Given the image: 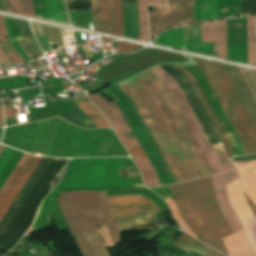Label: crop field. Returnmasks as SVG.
<instances>
[{
    "label": "crop field",
    "mask_w": 256,
    "mask_h": 256,
    "mask_svg": "<svg viewBox=\"0 0 256 256\" xmlns=\"http://www.w3.org/2000/svg\"><path fill=\"white\" fill-rule=\"evenodd\" d=\"M107 89L113 93L119 100L115 101L138 143L146 153L162 185L175 183L170 171L168 170L163 158L161 157L156 145L150 134L146 131L130 99L123 94L117 87L110 84ZM97 105H99L117 135L130 153L135 164L140 169L144 184L148 187L161 185L139 144L134 138L124 118L122 117L115 102L110 103L104 97L97 94L96 96L88 95Z\"/></svg>",
    "instance_id": "8a807250"
},
{
    "label": "crop field",
    "mask_w": 256,
    "mask_h": 256,
    "mask_svg": "<svg viewBox=\"0 0 256 256\" xmlns=\"http://www.w3.org/2000/svg\"><path fill=\"white\" fill-rule=\"evenodd\" d=\"M119 168H126L131 178H119ZM145 188L140 174L129 158L71 159L60 184L45 198L31 233L45 228L56 197L63 191Z\"/></svg>",
    "instance_id": "ac0d7876"
},
{
    "label": "crop field",
    "mask_w": 256,
    "mask_h": 256,
    "mask_svg": "<svg viewBox=\"0 0 256 256\" xmlns=\"http://www.w3.org/2000/svg\"><path fill=\"white\" fill-rule=\"evenodd\" d=\"M187 184L196 215L212 244L215 249L227 254L220 238L232 234V231L225 222L215 201L211 178L189 181ZM187 184L184 182L170 186L174 194L179 197L175 199L177 207L197 238L214 248L195 215Z\"/></svg>",
    "instance_id": "34b2d1b8"
},
{
    "label": "crop field",
    "mask_w": 256,
    "mask_h": 256,
    "mask_svg": "<svg viewBox=\"0 0 256 256\" xmlns=\"http://www.w3.org/2000/svg\"><path fill=\"white\" fill-rule=\"evenodd\" d=\"M191 59L194 60L198 64V65H195V67H197L199 70H201L204 73L207 81L209 82L211 88L213 89V91H214L216 97L218 98L221 106L223 107L226 115L228 116L230 122L232 123L235 131L237 132V134L242 142L244 154L247 155V154L255 153L253 145H252V141H251L252 138L250 139L244 125L242 124L237 112L235 111V109H234L229 97L227 96L222 84L220 83L214 69L212 67H210L203 60L196 59V58H191ZM176 65L179 66L185 73H187L191 77L200 96L202 97L205 105L207 106L210 114L212 115L215 123L217 124L221 134L223 135V137L227 143L230 157L244 155L242 146H241V142H240L236 132L234 131L232 125L230 124L227 116L225 115L222 107L220 106L217 98L215 97L213 91L211 90L208 82L206 81L203 73L201 71H199L197 68H195L194 66H183L186 70H188L194 76L197 84L199 85L203 95L205 96L208 104L210 105L213 113L215 114L218 122L220 123L224 133L226 134V136L231 144L233 156H232L230 144H229L225 134L223 133L219 123L217 122L214 114L212 113L209 105L207 104L204 96L202 95L198 85L196 84L193 76L188 71H186L180 64H176Z\"/></svg>",
    "instance_id": "412701ff"
},
{
    "label": "crop field",
    "mask_w": 256,
    "mask_h": 256,
    "mask_svg": "<svg viewBox=\"0 0 256 256\" xmlns=\"http://www.w3.org/2000/svg\"><path fill=\"white\" fill-rule=\"evenodd\" d=\"M120 88L133 98L177 182L197 179L198 176L194 168L152 91L138 79H135Z\"/></svg>",
    "instance_id": "f4fd0767"
},
{
    "label": "crop field",
    "mask_w": 256,
    "mask_h": 256,
    "mask_svg": "<svg viewBox=\"0 0 256 256\" xmlns=\"http://www.w3.org/2000/svg\"><path fill=\"white\" fill-rule=\"evenodd\" d=\"M150 73L152 72L148 70L137 75V77L140 79ZM140 80L153 91L199 178L207 175H213L214 172L211 166L209 165L167 86L153 73Z\"/></svg>",
    "instance_id": "dd49c442"
},
{
    "label": "crop field",
    "mask_w": 256,
    "mask_h": 256,
    "mask_svg": "<svg viewBox=\"0 0 256 256\" xmlns=\"http://www.w3.org/2000/svg\"><path fill=\"white\" fill-rule=\"evenodd\" d=\"M150 70L153 71L168 86L171 94L173 95L180 110L186 118L193 134H195L196 138L198 139L215 174L222 171L235 169L227 152L223 148V145H212L209 137L207 136L177 81L162 65H158Z\"/></svg>",
    "instance_id": "e52e79f7"
},
{
    "label": "crop field",
    "mask_w": 256,
    "mask_h": 256,
    "mask_svg": "<svg viewBox=\"0 0 256 256\" xmlns=\"http://www.w3.org/2000/svg\"><path fill=\"white\" fill-rule=\"evenodd\" d=\"M77 228L92 256H110L97 225H103L104 218L97 204L94 192L78 191L65 193Z\"/></svg>",
    "instance_id": "d8731c3e"
},
{
    "label": "crop field",
    "mask_w": 256,
    "mask_h": 256,
    "mask_svg": "<svg viewBox=\"0 0 256 256\" xmlns=\"http://www.w3.org/2000/svg\"><path fill=\"white\" fill-rule=\"evenodd\" d=\"M228 59L248 64V17L227 20ZM249 64L256 65V16L249 17Z\"/></svg>",
    "instance_id": "5a996713"
},
{
    "label": "crop field",
    "mask_w": 256,
    "mask_h": 256,
    "mask_svg": "<svg viewBox=\"0 0 256 256\" xmlns=\"http://www.w3.org/2000/svg\"><path fill=\"white\" fill-rule=\"evenodd\" d=\"M151 14L152 38L161 30L193 23L191 0H168V7H155Z\"/></svg>",
    "instance_id": "3316defc"
},
{
    "label": "crop field",
    "mask_w": 256,
    "mask_h": 256,
    "mask_svg": "<svg viewBox=\"0 0 256 256\" xmlns=\"http://www.w3.org/2000/svg\"><path fill=\"white\" fill-rule=\"evenodd\" d=\"M113 217L159 213V208L141 195L107 197Z\"/></svg>",
    "instance_id": "28ad6ade"
},
{
    "label": "crop field",
    "mask_w": 256,
    "mask_h": 256,
    "mask_svg": "<svg viewBox=\"0 0 256 256\" xmlns=\"http://www.w3.org/2000/svg\"><path fill=\"white\" fill-rule=\"evenodd\" d=\"M195 23L241 15L240 0H194Z\"/></svg>",
    "instance_id": "d1516ede"
},
{
    "label": "crop field",
    "mask_w": 256,
    "mask_h": 256,
    "mask_svg": "<svg viewBox=\"0 0 256 256\" xmlns=\"http://www.w3.org/2000/svg\"><path fill=\"white\" fill-rule=\"evenodd\" d=\"M4 20H5L7 37L9 41L12 43V45L14 46V48L17 50L21 58L24 60V62H28L29 59L27 58L25 53L22 51V49L20 48L17 42L26 43L27 48L33 57L42 54L40 48L38 47L33 37L29 23L27 21L6 18V17H4Z\"/></svg>",
    "instance_id": "22f410ed"
},
{
    "label": "crop field",
    "mask_w": 256,
    "mask_h": 256,
    "mask_svg": "<svg viewBox=\"0 0 256 256\" xmlns=\"http://www.w3.org/2000/svg\"><path fill=\"white\" fill-rule=\"evenodd\" d=\"M212 182L215 190V196H216V201L218 203V206L230 226L231 230L233 233L242 230V226L237 219L226 195V189L225 186L229 184L231 181L234 179L239 178L238 171H232L216 176H212Z\"/></svg>",
    "instance_id": "cbeb9de0"
},
{
    "label": "crop field",
    "mask_w": 256,
    "mask_h": 256,
    "mask_svg": "<svg viewBox=\"0 0 256 256\" xmlns=\"http://www.w3.org/2000/svg\"><path fill=\"white\" fill-rule=\"evenodd\" d=\"M41 158L39 157H34L29 155L25 163L23 164L22 168L6 190L5 194L0 200V219L24 185V183L27 181L37 164Z\"/></svg>",
    "instance_id": "5142ce71"
},
{
    "label": "crop field",
    "mask_w": 256,
    "mask_h": 256,
    "mask_svg": "<svg viewBox=\"0 0 256 256\" xmlns=\"http://www.w3.org/2000/svg\"><path fill=\"white\" fill-rule=\"evenodd\" d=\"M22 155H23L22 152L6 147V149L4 150L3 154L0 157V187L5 182L9 174L12 172L14 167L17 166ZM27 157H28V154L24 153L18 166L15 167V169L10 174L6 182L1 187L0 198L4 194L5 190L7 189V187L9 186V184L11 183V181L13 180V178L15 177V175L17 174V172L19 171V169L21 168L22 164L24 163Z\"/></svg>",
    "instance_id": "d9b57169"
},
{
    "label": "crop field",
    "mask_w": 256,
    "mask_h": 256,
    "mask_svg": "<svg viewBox=\"0 0 256 256\" xmlns=\"http://www.w3.org/2000/svg\"><path fill=\"white\" fill-rule=\"evenodd\" d=\"M204 61H206V60H204ZM206 62L215 69V71H216L219 79L221 80L226 92L228 93L232 103L234 104L242 122L244 123L250 137L252 138L253 145H254L255 152H256V129L253 126L249 116L247 115L243 105L241 104V102H240L236 92L234 91L229 79L227 78L223 68L221 67V65H219L216 62H212V61H206Z\"/></svg>",
    "instance_id": "733c2abd"
},
{
    "label": "crop field",
    "mask_w": 256,
    "mask_h": 256,
    "mask_svg": "<svg viewBox=\"0 0 256 256\" xmlns=\"http://www.w3.org/2000/svg\"><path fill=\"white\" fill-rule=\"evenodd\" d=\"M203 42H213L214 56L226 59L225 20L200 24Z\"/></svg>",
    "instance_id": "4a817a6b"
},
{
    "label": "crop field",
    "mask_w": 256,
    "mask_h": 256,
    "mask_svg": "<svg viewBox=\"0 0 256 256\" xmlns=\"http://www.w3.org/2000/svg\"><path fill=\"white\" fill-rule=\"evenodd\" d=\"M227 74V76L229 77L234 89L236 90L240 100L242 101L243 104H246L251 115L253 116L255 122H256V102L254 101L248 87L246 86L242 76L240 75L237 67L234 66H229V65H224L221 64ZM221 66V67H222ZM246 105H244L247 113L249 114L253 124L256 127V124L252 118V116L250 115Z\"/></svg>",
    "instance_id": "bc2a9ffb"
},
{
    "label": "crop field",
    "mask_w": 256,
    "mask_h": 256,
    "mask_svg": "<svg viewBox=\"0 0 256 256\" xmlns=\"http://www.w3.org/2000/svg\"><path fill=\"white\" fill-rule=\"evenodd\" d=\"M94 30L114 35L111 0H91Z\"/></svg>",
    "instance_id": "214f88e0"
},
{
    "label": "crop field",
    "mask_w": 256,
    "mask_h": 256,
    "mask_svg": "<svg viewBox=\"0 0 256 256\" xmlns=\"http://www.w3.org/2000/svg\"><path fill=\"white\" fill-rule=\"evenodd\" d=\"M33 2L37 18L67 24L62 0H33Z\"/></svg>",
    "instance_id": "92a150f3"
},
{
    "label": "crop field",
    "mask_w": 256,
    "mask_h": 256,
    "mask_svg": "<svg viewBox=\"0 0 256 256\" xmlns=\"http://www.w3.org/2000/svg\"><path fill=\"white\" fill-rule=\"evenodd\" d=\"M230 256L256 255L244 230L223 238Z\"/></svg>",
    "instance_id": "dafd665d"
},
{
    "label": "crop field",
    "mask_w": 256,
    "mask_h": 256,
    "mask_svg": "<svg viewBox=\"0 0 256 256\" xmlns=\"http://www.w3.org/2000/svg\"><path fill=\"white\" fill-rule=\"evenodd\" d=\"M159 214L136 216V217H124L115 219L119 228L122 231L126 230H145L158 227L156 225V218Z\"/></svg>",
    "instance_id": "00972430"
},
{
    "label": "crop field",
    "mask_w": 256,
    "mask_h": 256,
    "mask_svg": "<svg viewBox=\"0 0 256 256\" xmlns=\"http://www.w3.org/2000/svg\"><path fill=\"white\" fill-rule=\"evenodd\" d=\"M172 245L184 251L193 250L202 256H224L216 252L215 250L209 248L208 246L198 242L197 240L190 237L184 232L180 235V237L174 243H172Z\"/></svg>",
    "instance_id": "a9b5d70f"
},
{
    "label": "crop field",
    "mask_w": 256,
    "mask_h": 256,
    "mask_svg": "<svg viewBox=\"0 0 256 256\" xmlns=\"http://www.w3.org/2000/svg\"><path fill=\"white\" fill-rule=\"evenodd\" d=\"M153 43L185 50V27L165 31Z\"/></svg>",
    "instance_id": "4177f3b9"
},
{
    "label": "crop field",
    "mask_w": 256,
    "mask_h": 256,
    "mask_svg": "<svg viewBox=\"0 0 256 256\" xmlns=\"http://www.w3.org/2000/svg\"><path fill=\"white\" fill-rule=\"evenodd\" d=\"M59 203H60V206L62 208V211L65 215V218L67 220V223L69 225V228L72 232V235L80 249V252L82 254V256H91L85 243L83 242L77 228H76V225L74 223V220H73V216L71 214V211H70V208L68 206V203H67V200L65 198V195L64 193L61 195V197L58 199Z\"/></svg>",
    "instance_id": "730fd06b"
},
{
    "label": "crop field",
    "mask_w": 256,
    "mask_h": 256,
    "mask_svg": "<svg viewBox=\"0 0 256 256\" xmlns=\"http://www.w3.org/2000/svg\"><path fill=\"white\" fill-rule=\"evenodd\" d=\"M146 4L166 5V0H137L140 40L149 41Z\"/></svg>",
    "instance_id": "eef30255"
},
{
    "label": "crop field",
    "mask_w": 256,
    "mask_h": 256,
    "mask_svg": "<svg viewBox=\"0 0 256 256\" xmlns=\"http://www.w3.org/2000/svg\"><path fill=\"white\" fill-rule=\"evenodd\" d=\"M5 3L10 13L36 18L32 0H5Z\"/></svg>",
    "instance_id": "ae1a2a85"
},
{
    "label": "crop field",
    "mask_w": 256,
    "mask_h": 256,
    "mask_svg": "<svg viewBox=\"0 0 256 256\" xmlns=\"http://www.w3.org/2000/svg\"><path fill=\"white\" fill-rule=\"evenodd\" d=\"M78 107L87 114L91 121L98 127H110L105 117L89 101L78 105Z\"/></svg>",
    "instance_id": "d3111659"
},
{
    "label": "crop field",
    "mask_w": 256,
    "mask_h": 256,
    "mask_svg": "<svg viewBox=\"0 0 256 256\" xmlns=\"http://www.w3.org/2000/svg\"><path fill=\"white\" fill-rule=\"evenodd\" d=\"M64 119L84 128H95L90 119L76 106L69 114L61 115Z\"/></svg>",
    "instance_id": "750c4746"
},
{
    "label": "crop field",
    "mask_w": 256,
    "mask_h": 256,
    "mask_svg": "<svg viewBox=\"0 0 256 256\" xmlns=\"http://www.w3.org/2000/svg\"><path fill=\"white\" fill-rule=\"evenodd\" d=\"M96 196H97V200L101 208V211L105 217V223L119 230L117 224L115 223L112 217L111 211L108 207L105 191L96 192Z\"/></svg>",
    "instance_id": "bd1437ed"
},
{
    "label": "crop field",
    "mask_w": 256,
    "mask_h": 256,
    "mask_svg": "<svg viewBox=\"0 0 256 256\" xmlns=\"http://www.w3.org/2000/svg\"><path fill=\"white\" fill-rule=\"evenodd\" d=\"M120 1L121 0H113V9H114L116 35L123 36L122 5Z\"/></svg>",
    "instance_id": "1d83c4d3"
},
{
    "label": "crop field",
    "mask_w": 256,
    "mask_h": 256,
    "mask_svg": "<svg viewBox=\"0 0 256 256\" xmlns=\"http://www.w3.org/2000/svg\"><path fill=\"white\" fill-rule=\"evenodd\" d=\"M240 73L242 74L245 82L247 83L252 95L254 96L256 100V76L253 72V70L250 69H244V68H239Z\"/></svg>",
    "instance_id": "120bbe31"
},
{
    "label": "crop field",
    "mask_w": 256,
    "mask_h": 256,
    "mask_svg": "<svg viewBox=\"0 0 256 256\" xmlns=\"http://www.w3.org/2000/svg\"><path fill=\"white\" fill-rule=\"evenodd\" d=\"M165 200L168 202L169 207H170V209L172 211V214H173L174 218L177 220V222H178L179 226L182 228V230L187 232V233H189V234H191L192 236H194V234L191 232V230L187 227L185 221L182 219L179 211L177 210V207H176L173 199L171 197H169V198H167Z\"/></svg>",
    "instance_id": "d32e631a"
},
{
    "label": "crop field",
    "mask_w": 256,
    "mask_h": 256,
    "mask_svg": "<svg viewBox=\"0 0 256 256\" xmlns=\"http://www.w3.org/2000/svg\"><path fill=\"white\" fill-rule=\"evenodd\" d=\"M242 15L256 13V0H241Z\"/></svg>",
    "instance_id": "5866460e"
},
{
    "label": "crop field",
    "mask_w": 256,
    "mask_h": 256,
    "mask_svg": "<svg viewBox=\"0 0 256 256\" xmlns=\"http://www.w3.org/2000/svg\"><path fill=\"white\" fill-rule=\"evenodd\" d=\"M117 44H118L119 52H130V51H134V50L143 48L142 46L125 43V42H117Z\"/></svg>",
    "instance_id": "028f5c9d"
},
{
    "label": "crop field",
    "mask_w": 256,
    "mask_h": 256,
    "mask_svg": "<svg viewBox=\"0 0 256 256\" xmlns=\"http://www.w3.org/2000/svg\"><path fill=\"white\" fill-rule=\"evenodd\" d=\"M100 232L103 236V239L105 241L107 249L111 248L113 246V244H112L110 233H109L108 229L106 228V226H101Z\"/></svg>",
    "instance_id": "e1f06a70"
},
{
    "label": "crop field",
    "mask_w": 256,
    "mask_h": 256,
    "mask_svg": "<svg viewBox=\"0 0 256 256\" xmlns=\"http://www.w3.org/2000/svg\"><path fill=\"white\" fill-rule=\"evenodd\" d=\"M111 233L112 239H113V243L114 245L120 242V232L117 230H114L110 227H107Z\"/></svg>",
    "instance_id": "0bd39190"
},
{
    "label": "crop field",
    "mask_w": 256,
    "mask_h": 256,
    "mask_svg": "<svg viewBox=\"0 0 256 256\" xmlns=\"http://www.w3.org/2000/svg\"><path fill=\"white\" fill-rule=\"evenodd\" d=\"M4 107V114H5V119H10V118H15L14 117V110L12 107L3 105Z\"/></svg>",
    "instance_id": "b80d0937"
},
{
    "label": "crop field",
    "mask_w": 256,
    "mask_h": 256,
    "mask_svg": "<svg viewBox=\"0 0 256 256\" xmlns=\"http://www.w3.org/2000/svg\"><path fill=\"white\" fill-rule=\"evenodd\" d=\"M5 28H4V20L3 17L0 16V41H5Z\"/></svg>",
    "instance_id": "c035e120"
},
{
    "label": "crop field",
    "mask_w": 256,
    "mask_h": 256,
    "mask_svg": "<svg viewBox=\"0 0 256 256\" xmlns=\"http://www.w3.org/2000/svg\"><path fill=\"white\" fill-rule=\"evenodd\" d=\"M7 63H12L5 55L4 53L0 50V65L2 64H7Z\"/></svg>",
    "instance_id": "c21b1889"
},
{
    "label": "crop field",
    "mask_w": 256,
    "mask_h": 256,
    "mask_svg": "<svg viewBox=\"0 0 256 256\" xmlns=\"http://www.w3.org/2000/svg\"><path fill=\"white\" fill-rule=\"evenodd\" d=\"M8 57L13 61V62H18L21 61L20 58L18 57V55L16 54V52L8 55Z\"/></svg>",
    "instance_id": "03da06ac"
},
{
    "label": "crop field",
    "mask_w": 256,
    "mask_h": 256,
    "mask_svg": "<svg viewBox=\"0 0 256 256\" xmlns=\"http://www.w3.org/2000/svg\"><path fill=\"white\" fill-rule=\"evenodd\" d=\"M245 195H246V194H245ZM246 198H247V201H248V203H249V205H250V208L252 209L253 213H254L255 216H256V205L247 197V195H246Z\"/></svg>",
    "instance_id": "b54c1fbb"
},
{
    "label": "crop field",
    "mask_w": 256,
    "mask_h": 256,
    "mask_svg": "<svg viewBox=\"0 0 256 256\" xmlns=\"http://www.w3.org/2000/svg\"><path fill=\"white\" fill-rule=\"evenodd\" d=\"M0 126H4L2 106H0Z\"/></svg>",
    "instance_id": "5d738f31"
},
{
    "label": "crop field",
    "mask_w": 256,
    "mask_h": 256,
    "mask_svg": "<svg viewBox=\"0 0 256 256\" xmlns=\"http://www.w3.org/2000/svg\"><path fill=\"white\" fill-rule=\"evenodd\" d=\"M255 158H256V155L249 156V157L236 158V159H232V160H249V159H255Z\"/></svg>",
    "instance_id": "d23c7cc5"
},
{
    "label": "crop field",
    "mask_w": 256,
    "mask_h": 256,
    "mask_svg": "<svg viewBox=\"0 0 256 256\" xmlns=\"http://www.w3.org/2000/svg\"><path fill=\"white\" fill-rule=\"evenodd\" d=\"M0 10L5 11V9H4V4H3V0H0Z\"/></svg>",
    "instance_id": "425ffa30"
},
{
    "label": "crop field",
    "mask_w": 256,
    "mask_h": 256,
    "mask_svg": "<svg viewBox=\"0 0 256 256\" xmlns=\"http://www.w3.org/2000/svg\"><path fill=\"white\" fill-rule=\"evenodd\" d=\"M3 149H4V146L0 145V153L2 152Z\"/></svg>",
    "instance_id": "25e5ab78"
},
{
    "label": "crop field",
    "mask_w": 256,
    "mask_h": 256,
    "mask_svg": "<svg viewBox=\"0 0 256 256\" xmlns=\"http://www.w3.org/2000/svg\"><path fill=\"white\" fill-rule=\"evenodd\" d=\"M101 40H103V41H113V40H108V39H104V38H101Z\"/></svg>",
    "instance_id": "73cf0c24"
},
{
    "label": "crop field",
    "mask_w": 256,
    "mask_h": 256,
    "mask_svg": "<svg viewBox=\"0 0 256 256\" xmlns=\"http://www.w3.org/2000/svg\"><path fill=\"white\" fill-rule=\"evenodd\" d=\"M255 72V74H256V71H254Z\"/></svg>",
    "instance_id": "89e229c0"
}]
</instances>
